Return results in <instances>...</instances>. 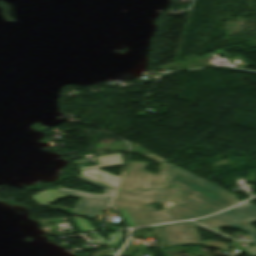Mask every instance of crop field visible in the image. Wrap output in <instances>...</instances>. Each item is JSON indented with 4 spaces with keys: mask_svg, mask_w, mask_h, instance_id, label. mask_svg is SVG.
Instances as JSON below:
<instances>
[{
    "mask_svg": "<svg viewBox=\"0 0 256 256\" xmlns=\"http://www.w3.org/2000/svg\"><path fill=\"white\" fill-rule=\"evenodd\" d=\"M196 222L218 232H221L218 229L223 226H234L248 232L249 237L255 244V247H244V250H247L248 256H256V231L249 225L256 222L255 205L247 202L211 217L196 220Z\"/></svg>",
    "mask_w": 256,
    "mask_h": 256,
    "instance_id": "34b2d1b8",
    "label": "crop field"
},
{
    "mask_svg": "<svg viewBox=\"0 0 256 256\" xmlns=\"http://www.w3.org/2000/svg\"><path fill=\"white\" fill-rule=\"evenodd\" d=\"M109 204L108 202L80 198L72 215L95 219L96 216H101L103 210L108 208Z\"/></svg>",
    "mask_w": 256,
    "mask_h": 256,
    "instance_id": "e52e79f7",
    "label": "crop field"
},
{
    "mask_svg": "<svg viewBox=\"0 0 256 256\" xmlns=\"http://www.w3.org/2000/svg\"><path fill=\"white\" fill-rule=\"evenodd\" d=\"M236 197L178 167L161 202L171 220L177 221L223 210L240 202Z\"/></svg>",
    "mask_w": 256,
    "mask_h": 256,
    "instance_id": "8a807250",
    "label": "crop field"
},
{
    "mask_svg": "<svg viewBox=\"0 0 256 256\" xmlns=\"http://www.w3.org/2000/svg\"><path fill=\"white\" fill-rule=\"evenodd\" d=\"M77 178L79 179H82V180H85L87 182H90L96 186H99L103 189H105V193L102 194V195H97V194H91V193H85V192H79V191H73V190H67V189H61V188H57L58 192H61V193H66V194H70V195H75V196H81V197H88V198H94V199H101V200H107V201H110L112 196H113V193H114V189L110 188V187H107L105 185H102L98 182H95L93 180H90L86 177H83L81 175L77 176Z\"/></svg>",
    "mask_w": 256,
    "mask_h": 256,
    "instance_id": "d8731c3e",
    "label": "crop field"
},
{
    "mask_svg": "<svg viewBox=\"0 0 256 256\" xmlns=\"http://www.w3.org/2000/svg\"><path fill=\"white\" fill-rule=\"evenodd\" d=\"M118 210H119L120 213L122 214V216H123V218H124V220H125L127 226H128V227H134L133 224H132V222H131V220L129 219V217H128L126 211H125V210H120V209H118Z\"/></svg>",
    "mask_w": 256,
    "mask_h": 256,
    "instance_id": "28ad6ade",
    "label": "crop field"
},
{
    "mask_svg": "<svg viewBox=\"0 0 256 256\" xmlns=\"http://www.w3.org/2000/svg\"><path fill=\"white\" fill-rule=\"evenodd\" d=\"M75 223L81 229L82 232L93 230L86 220L76 218Z\"/></svg>",
    "mask_w": 256,
    "mask_h": 256,
    "instance_id": "3316defc",
    "label": "crop field"
},
{
    "mask_svg": "<svg viewBox=\"0 0 256 256\" xmlns=\"http://www.w3.org/2000/svg\"><path fill=\"white\" fill-rule=\"evenodd\" d=\"M165 189L118 191L112 206L127 210L136 226L169 222L163 210L156 212L150 205L161 200Z\"/></svg>",
    "mask_w": 256,
    "mask_h": 256,
    "instance_id": "ac0d7876",
    "label": "crop field"
},
{
    "mask_svg": "<svg viewBox=\"0 0 256 256\" xmlns=\"http://www.w3.org/2000/svg\"><path fill=\"white\" fill-rule=\"evenodd\" d=\"M67 195L61 194V193H57L56 190H47L44 192H41L35 196H33L32 198L39 204L41 205H45L49 202H52L54 200H57L61 197H64Z\"/></svg>",
    "mask_w": 256,
    "mask_h": 256,
    "instance_id": "5a996713",
    "label": "crop field"
},
{
    "mask_svg": "<svg viewBox=\"0 0 256 256\" xmlns=\"http://www.w3.org/2000/svg\"><path fill=\"white\" fill-rule=\"evenodd\" d=\"M96 160L100 166L79 169L80 173L86 177L116 189L120 178L96 168L123 164L121 160V154L98 157Z\"/></svg>",
    "mask_w": 256,
    "mask_h": 256,
    "instance_id": "dd49c442",
    "label": "crop field"
},
{
    "mask_svg": "<svg viewBox=\"0 0 256 256\" xmlns=\"http://www.w3.org/2000/svg\"><path fill=\"white\" fill-rule=\"evenodd\" d=\"M199 226V225H198ZM197 226V227H198ZM201 227V226H200ZM203 228V227H202ZM204 229H206V228H204ZM206 230H208V229H206ZM209 231H211V230H209ZM211 232H213V231H211ZM213 233H215V234H217V235H220V234H218V233H216V232H213ZM220 236H222V237H224V238H226V239H228V240H230V238H228V237H225V236H223V235H220Z\"/></svg>",
    "mask_w": 256,
    "mask_h": 256,
    "instance_id": "d1516ede",
    "label": "crop field"
},
{
    "mask_svg": "<svg viewBox=\"0 0 256 256\" xmlns=\"http://www.w3.org/2000/svg\"><path fill=\"white\" fill-rule=\"evenodd\" d=\"M144 156L162 164L158 175L144 172L145 163L130 162L118 189H143L150 187H166L176 166L165 163L162 159L152 155Z\"/></svg>",
    "mask_w": 256,
    "mask_h": 256,
    "instance_id": "412701ff",
    "label": "crop field"
},
{
    "mask_svg": "<svg viewBox=\"0 0 256 256\" xmlns=\"http://www.w3.org/2000/svg\"><path fill=\"white\" fill-rule=\"evenodd\" d=\"M153 229L162 245L203 244L227 250L224 243L211 240L199 242L200 238L192 221L154 226Z\"/></svg>",
    "mask_w": 256,
    "mask_h": 256,
    "instance_id": "f4fd0767",
    "label": "crop field"
}]
</instances>
